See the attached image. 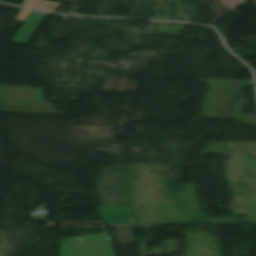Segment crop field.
Here are the masks:
<instances>
[{"label":"crop field","instance_id":"obj_3","mask_svg":"<svg viewBox=\"0 0 256 256\" xmlns=\"http://www.w3.org/2000/svg\"><path fill=\"white\" fill-rule=\"evenodd\" d=\"M46 17L47 14L33 11L12 42L26 45Z\"/></svg>","mask_w":256,"mask_h":256},{"label":"crop field","instance_id":"obj_1","mask_svg":"<svg viewBox=\"0 0 256 256\" xmlns=\"http://www.w3.org/2000/svg\"><path fill=\"white\" fill-rule=\"evenodd\" d=\"M0 112L63 115L48 103L41 88L0 85Z\"/></svg>","mask_w":256,"mask_h":256},{"label":"crop field","instance_id":"obj_4","mask_svg":"<svg viewBox=\"0 0 256 256\" xmlns=\"http://www.w3.org/2000/svg\"><path fill=\"white\" fill-rule=\"evenodd\" d=\"M107 224H133L130 207H102Z\"/></svg>","mask_w":256,"mask_h":256},{"label":"crop field","instance_id":"obj_2","mask_svg":"<svg viewBox=\"0 0 256 256\" xmlns=\"http://www.w3.org/2000/svg\"><path fill=\"white\" fill-rule=\"evenodd\" d=\"M60 256H115L107 233L69 237L61 241Z\"/></svg>","mask_w":256,"mask_h":256},{"label":"crop field","instance_id":"obj_5","mask_svg":"<svg viewBox=\"0 0 256 256\" xmlns=\"http://www.w3.org/2000/svg\"><path fill=\"white\" fill-rule=\"evenodd\" d=\"M30 13L29 10L22 9L18 16L15 18L16 21L24 22L28 14Z\"/></svg>","mask_w":256,"mask_h":256}]
</instances>
